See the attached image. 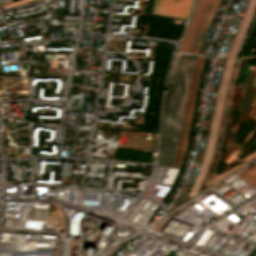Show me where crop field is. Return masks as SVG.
<instances>
[{"label":"crop field","mask_w":256,"mask_h":256,"mask_svg":"<svg viewBox=\"0 0 256 256\" xmlns=\"http://www.w3.org/2000/svg\"><path fill=\"white\" fill-rule=\"evenodd\" d=\"M196 58L182 55L174 84L167 83L161 126L159 166H172L182 130L189 80Z\"/></svg>","instance_id":"8a807250"},{"label":"crop field","mask_w":256,"mask_h":256,"mask_svg":"<svg viewBox=\"0 0 256 256\" xmlns=\"http://www.w3.org/2000/svg\"><path fill=\"white\" fill-rule=\"evenodd\" d=\"M255 3H256V0H250L248 7L246 9V12L244 14V17L242 19V22L240 24L239 30L237 32V35L235 37V40L233 42V45L231 47V50L229 52V55L227 57L223 76L221 79V83H220V87H219V91H218V95H217V100H216V105H215V110H214V115H213V120H212V125H211V129H210V134H209V139H208V143H207L205 156H204V159L200 166V169L198 171V174L196 176V179L193 183V186L191 188L189 196L197 193L199 186L201 184V181L204 177V174H205V171H206V168H207L210 156H211L212 148H213V143H214V139H215V135H216V130H217V126H218V121H219V116H220V111H221V106H222V101H223V96H224L228 76L230 73L232 61L236 55L237 49L241 42L242 36H243L246 26L248 24V21L251 16V13L253 11Z\"/></svg>","instance_id":"ac0d7876"},{"label":"crop field","mask_w":256,"mask_h":256,"mask_svg":"<svg viewBox=\"0 0 256 256\" xmlns=\"http://www.w3.org/2000/svg\"><path fill=\"white\" fill-rule=\"evenodd\" d=\"M204 60H205V58H201V57L197 58L195 68H194L193 74L191 76L188 97H187L185 117H184L183 130H182V135H181V139H180L178 155L176 154L177 159L175 157V159H176L175 166L173 163L174 167H180L182 164V161L184 159L192 113H193V109H194L195 99H196V95H197V90H198V86H199V81H200V77H201V73H202ZM174 162H175V160H174Z\"/></svg>","instance_id":"34b2d1b8"},{"label":"crop field","mask_w":256,"mask_h":256,"mask_svg":"<svg viewBox=\"0 0 256 256\" xmlns=\"http://www.w3.org/2000/svg\"><path fill=\"white\" fill-rule=\"evenodd\" d=\"M195 0H155L153 14L187 19Z\"/></svg>","instance_id":"412701ff"},{"label":"crop field","mask_w":256,"mask_h":256,"mask_svg":"<svg viewBox=\"0 0 256 256\" xmlns=\"http://www.w3.org/2000/svg\"><path fill=\"white\" fill-rule=\"evenodd\" d=\"M221 0H209L187 52L198 54Z\"/></svg>","instance_id":"f4fd0767"},{"label":"crop field","mask_w":256,"mask_h":256,"mask_svg":"<svg viewBox=\"0 0 256 256\" xmlns=\"http://www.w3.org/2000/svg\"><path fill=\"white\" fill-rule=\"evenodd\" d=\"M204 1H205V0H200L198 6H197V8H196V10H195V12H194V14H193V16H192V19H191V21H190V23H189V26H188V28H187V30H186V32H185V34H184V36H183L181 42H180V48H179V50H183V49H184V47H185V45H186V42H187V40H188V38H189V36H190V33H191V31H192V29H193V27H194L195 21H196L198 15H199V13H200L202 7H203Z\"/></svg>","instance_id":"dd49c442"},{"label":"crop field","mask_w":256,"mask_h":256,"mask_svg":"<svg viewBox=\"0 0 256 256\" xmlns=\"http://www.w3.org/2000/svg\"><path fill=\"white\" fill-rule=\"evenodd\" d=\"M256 188V164L237 174Z\"/></svg>","instance_id":"e52e79f7"},{"label":"crop field","mask_w":256,"mask_h":256,"mask_svg":"<svg viewBox=\"0 0 256 256\" xmlns=\"http://www.w3.org/2000/svg\"><path fill=\"white\" fill-rule=\"evenodd\" d=\"M207 2H208V0L205 1L204 7H203V9H202V11H201V13H200V15H199V17H198V20H197V22H196L195 28H194V30H193V32H192L190 38H189L188 44H187L186 49H185L184 52H186L187 49H188V47H189V44H190V42H191V39H192V37H193V35H194V32H195V30H196V27H197V25H198V23H199V20H200V18H201V15H202V13H203V11H204V8H205Z\"/></svg>","instance_id":"d8731c3e"}]
</instances>
